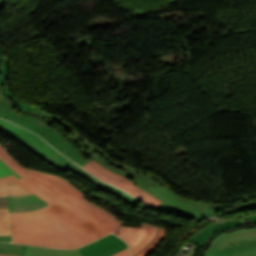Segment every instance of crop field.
<instances>
[{
    "instance_id": "obj_1",
    "label": "crop field",
    "mask_w": 256,
    "mask_h": 256,
    "mask_svg": "<svg viewBox=\"0 0 256 256\" xmlns=\"http://www.w3.org/2000/svg\"><path fill=\"white\" fill-rule=\"evenodd\" d=\"M3 85H0V116L6 118L20 126L28 128L35 133L42 136L47 142L57 148L61 153L66 155L68 158L74 160L79 165H84L90 160H95L101 165L105 166L109 170L118 173L122 176L129 178L136 186L145 190L146 192L157 197L149 188L156 186H163L161 184H151L153 181L148 176L141 175L140 177L132 172L127 170L119 169L111 164L108 161L103 160L102 154L100 152H93L91 149L86 147V143L82 142L81 139L77 137L76 134L70 133L64 135L61 132L54 130L56 123L46 121L41 116L36 114H20L16 111L14 107L18 105L12 102V99L7 98L2 89ZM160 199L159 197H157ZM161 200V199H160ZM168 206L165 202L159 204L155 209L166 212L169 214Z\"/></svg>"
},
{
    "instance_id": "obj_2",
    "label": "crop field",
    "mask_w": 256,
    "mask_h": 256,
    "mask_svg": "<svg viewBox=\"0 0 256 256\" xmlns=\"http://www.w3.org/2000/svg\"><path fill=\"white\" fill-rule=\"evenodd\" d=\"M0 125L4 127L2 128V132L22 142L24 145H26L29 149L34 151L40 157L44 158L50 164L58 167L64 172L67 173L69 171H73L81 175L82 177L92 182L94 185L98 186V189L119 197L124 202H126L132 209H134V205L140 203L138 200L132 198L127 193L99 181L98 179L90 175L88 172L80 168L78 165L67 159L65 156L59 154L37 135L2 119H0Z\"/></svg>"
},
{
    "instance_id": "obj_3",
    "label": "crop field",
    "mask_w": 256,
    "mask_h": 256,
    "mask_svg": "<svg viewBox=\"0 0 256 256\" xmlns=\"http://www.w3.org/2000/svg\"><path fill=\"white\" fill-rule=\"evenodd\" d=\"M23 178L52 196L92 215L102 222L111 232L122 224L110 212L84 199V195L77 188L60 177L29 170Z\"/></svg>"
},
{
    "instance_id": "obj_4",
    "label": "crop field",
    "mask_w": 256,
    "mask_h": 256,
    "mask_svg": "<svg viewBox=\"0 0 256 256\" xmlns=\"http://www.w3.org/2000/svg\"><path fill=\"white\" fill-rule=\"evenodd\" d=\"M10 214L13 242L57 248H73L30 212Z\"/></svg>"
},
{
    "instance_id": "obj_5",
    "label": "crop field",
    "mask_w": 256,
    "mask_h": 256,
    "mask_svg": "<svg viewBox=\"0 0 256 256\" xmlns=\"http://www.w3.org/2000/svg\"><path fill=\"white\" fill-rule=\"evenodd\" d=\"M8 178L21 185L22 187L26 188L30 192L36 194L38 197L48 203L50 205L49 207L55 209L63 216L68 218L70 221H72L74 224L82 228L95 240L110 233V231L102 223H100L92 216L55 199L54 197L38 189L31 183L23 179L19 180L13 176H9Z\"/></svg>"
},
{
    "instance_id": "obj_6",
    "label": "crop field",
    "mask_w": 256,
    "mask_h": 256,
    "mask_svg": "<svg viewBox=\"0 0 256 256\" xmlns=\"http://www.w3.org/2000/svg\"><path fill=\"white\" fill-rule=\"evenodd\" d=\"M31 213L42 220L74 248H78L90 241H94V239L86 232L49 207Z\"/></svg>"
},
{
    "instance_id": "obj_7",
    "label": "crop field",
    "mask_w": 256,
    "mask_h": 256,
    "mask_svg": "<svg viewBox=\"0 0 256 256\" xmlns=\"http://www.w3.org/2000/svg\"><path fill=\"white\" fill-rule=\"evenodd\" d=\"M82 167L94 174L95 176L99 177L100 179L122 188L126 192L134 195L137 199L153 208L157 206L160 202H162L157 198L153 197L152 195L141 190L140 188L136 187L130 180L109 171L108 169L93 160Z\"/></svg>"
},
{
    "instance_id": "obj_8",
    "label": "crop field",
    "mask_w": 256,
    "mask_h": 256,
    "mask_svg": "<svg viewBox=\"0 0 256 256\" xmlns=\"http://www.w3.org/2000/svg\"><path fill=\"white\" fill-rule=\"evenodd\" d=\"M150 189L163 201L172 206L169 209V212L176 213L185 218L201 220L203 218L211 217L212 215L221 210H215L214 208H204V210H202L199 208L201 204H198V206H194V202L188 201L186 199L182 201V199L178 198L166 187H157Z\"/></svg>"
},
{
    "instance_id": "obj_9",
    "label": "crop field",
    "mask_w": 256,
    "mask_h": 256,
    "mask_svg": "<svg viewBox=\"0 0 256 256\" xmlns=\"http://www.w3.org/2000/svg\"><path fill=\"white\" fill-rule=\"evenodd\" d=\"M79 251L83 256H130L124 241L113 234L81 247Z\"/></svg>"
},
{
    "instance_id": "obj_10",
    "label": "crop field",
    "mask_w": 256,
    "mask_h": 256,
    "mask_svg": "<svg viewBox=\"0 0 256 256\" xmlns=\"http://www.w3.org/2000/svg\"><path fill=\"white\" fill-rule=\"evenodd\" d=\"M158 229L157 226L142 223L141 228L122 226L114 233L128 242L132 254L135 255L152 242Z\"/></svg>"
},
{
    "instance_id": "obj_11",
    "label": "crop field",
    "mask_w": 256,
    "mask_h": 256,
    "mask_svg": "<svg viewBox=\"0 0 256 256\" xmlns=\"http://www.w3.org/2000/svg\"><path fill=\"white\" fill-rule=\"evenodd\" d=\"M32 112H34L36 114H39V115H42L44 117V119H46V120H50V121H53V122H56V123L64 124L68 131L77 133L79 138H81L83 141L87 142L85 139H83L84 137L83 138L81 137L80 132L77 129H75L71 124H69L68 122H66L65 120L60 118L59 116L48 113V112H45V111H32ZM32 112H29V113H32ZM87 143H88L87 147L91 148L93 151H101L102 154L104 155L103 158L110 161V163H112L113 165H116V166H118L120 168H123V169L130 170V171L135 172V173H138L139 175L141 173H143L144 175H149L155 181V182H152V183L160 182L161 184L165 185L161 177H159V176H157V175H155V174H153L149 171L143 170V169H139V168H136V167H133V166H129V165H126V164L115 162L110 157H108L100 148L90 144L89 142H87Z\"/></svg>"
},
{
    "instance_id": "obj_12",
    "label": "crop field",
    "mask_w": 256,
    "mask_h": 256,
    "mask_svg": "<svg viewBox=\"0 0 256 256\" xmlns=\"http://www.w3.org/2000/svg\"><path fill=\"white\" fill-rule=\"evenodd\" d=\"M204 256H256V239L240 241L224 249L212 241Z\"/></svg>"
},
{
    "instance_id": "obj_13",
    "label": "crop field",
    "mask_w": 256,
    "mask_h": 256,
    "mask_svg": "<svg viewBox=\"0 0 256 256\" xmlns=\"http://www.w3.org/2000/svg\"><path fill=\"white\" fill-rule=\"evenodd\" d=\"M10 203V212H27L34 211L46 206L45 202H43L37 196L30 194L24 196H11L9 197Z\"/></svg>"
},
{
    "instance_id": "obj_14",
    "label": "crop field",
    "mask_w": 256,
    "mask_h": 256,
    "mask_svg": "<svg viewBox=\"0 0 256 256\" xmlns=\"http://www.w3.org/2000/svg\"><path fill=\"white\" fill-rule=\"evenodd\" d=\"M240 225H243L242 220H233V221L218 223L213 226H210L207 229L201 230L194 237H192L189 241H192L193 243L204 247V244L210 238V236H212L217 231H221L223 229L234 228V227L240 226Z\"/></svg>"
},
{
    "instance_id": "obj_15",
    "label": "crop field",
    "mask_w": 256,
    "mask_h": 256,
    "mask_svg": "<svg viewBox=\"0 0 256 256\" xmlns=\"http://www.w3.org/2000/svg\"><path fill=\"white\" fill-rule=\"evenodd\" d=\"M5 5V0H0V9ZM9 69H8V60L6 59V56L2 51H0V84H5L3 89L4 93L7 97H10L13 99L15 103H18V109H20L23 112L32 111V110H42L38 109L36 107L24 105L18 101H16L8 92L7 90V77H8Z\"/></svg>"
},
{
    "instance_id": "obj_16",
    "label": "crop field",
    "mask_w": 256,
    "mask_h": 256,
    "mask_svg": "<svg viewBox=\"0 0 256 256\" xmlns=\"http://www.w3.org/2000/svg\"><path fill=\"white\" fill-rule=\"evenodd\" d=\"M24 256H82L78 250H59L28 246Z\"/></svg>"
},
{
    "instance_id": "obj_17",
    "label": "crop field",
    "mask_w": 256,
    "mask_h": 256,
    "mask_svg": "<svg viewBox=\"0 0 256 256\" xmlns=\"http://www.w3.org/2000/svg\"><path fill=\"white\" fill-rule=\"evenodd\" d=\"M30 192L6 177H0V196L23 195Z\"/></svg>"
},
{
    "instance_id": "obj_18",
    "label": "crop field",
    "mask_w": 256,
    "mask_h": 256,
    "mask_svg": "<svg viewBox=\"0 0 256 256\" xmlns=\"http://www.w3.org/2000/svg\"><path fill=\"white\" fill-rule=\"evenodd\" d=\"M0 158L20 176H24L29 170L16 162V160L0 144Z\"/></svg>"
},
{
    "instance_id": "obj_19",
    "label": "crop field",
    "mask_w": 256,
    "mask_h": 256,
    "mask_svg": "<svg viewBox=\"0 0 256 256\" xmlns=\"http://www.w3.org/2000/svg\"><path fill=\"white\" fill-rule=\"evenodd\" d=\"M252 238H256V231L236 234V235L227 237L223 240H220V241L216 242V244L218 246L224 248V247H227V246L231 245L232 243H234L236 241L245 240V239H252Z\"/></svg>"
},
{
    "instance_id": "obj_20",
    "label": "crop field",
    "mask_w": 256,
    "mask_h": 256,
    "mask_svg": "<svg viewBox=\"0 0 256 256\" xmlns=\"http://www.w3.org/2000/svg\"><path fill=\"white\" fill-rule=\"evenodd\" d=\"M27 246L15 245L0 243V253L15 254V255H24L25 249Z\"/></svg>"
},
{
    "instance_id": "obj_21",
    "label": "crop field",
    "mask_w": 256,
    "mask_h": 256,
    "mask_svg": "<svg viewBox=\"0 0 256 256\" xmlns=\"http://www.w3.org/2000/svg\"><path fill=\"white\" fill-rule=\"evenodd\" d=\"M166 230L163 227H160L159 232L153 242L147 246L144 250L138 253L136 256H148L156 245L165 237Z\"/></svg>"
},
{
    "instance_id": "obj_22",
    "label": "crop field",
    "mask_w": 256,
    "mask_h": 256,
    "mask_svg": "<svg viewBox=\"0 0 256 256\" xmlns=\"http://www.w3.org/2000/svg\"><path fill=\"white\" fill-rule=\"evenodd\" d=\"M0 235H10L8 209H0Z\"/></svg>"
},
{
    "instance_id": "obj_23",
    "label": "crop field",
    "mask_w": 256,
    "mask_h": 256,
    "mask_svg": "<svg viewBox=\"0 0 256 256\" xmlns=\"http://www.w3.org/2000/svg\"><path fill=\"white\" fill-rule=\"evenodd\" d=\"M253 209H256V200H248V201L242 203L237 208H235L231 211H228L224 215L234 213V212H238V211H242V210H253Z\"/></svg>"
},
{
    "instance_id": "obj_24",
    "label": "crop field",
    "mask_w": 256,
    "mask_h": 256,
    "mask_svg": "<svg viewBox=\"0 0 256 256\" xmlns=\"http://www.w3.org/2000/svg\"><path fill=\"white\" fill-rule=\"evenodd\" d=\"M13 175L19 179L20 177L18 174H16L12 169H10L1 159H0V176H9Z\"/></svg>"
},
{
    "instance_id": "obj_25",
    "label": "crop field",
    "mask_w": 256,
    "mask_h": 256,
    "mask_svg": "<svg viewBox=\"0 0 256 256\" xmlns=\"http://www.w3.org/2000/svg\"><path fill=\"white\" fill-rule=\"evenodd\" d=\"M177 196H179V195H177ZM179 197H181L182 199L183 198H185V197H182V196H179ZM188 199V198H187ZM184 200V199H183ZM189 200H191V199H189ZM192 201H195V200H192ZM198 203H202V206H201V208L203 209V207H215L216 209H220V208H225V207H227V206H229V205H227V204H216V203H204V202H199V201H195V204L194 205H197ZM224 210V209H223Z\"/></svg>"
},
{
    "instance_id": "obj_26",
    "label": "crop field",
    "mask_w": 256,
    "mask_h": 256,
    "mask_svg": "<svg viewBox=\"0 0 256 256\" xmlns=\"http://www.w3.org/2000/svg\"><path fill=\"white\" fill-rule=\"evenodd\" d=\"M251 230H256V228H251V229H246V230H244V229L235 230V231H232L231 233H222V234L217 235V237L213 241L216 242V241L223 239L227 236H230V235H233L236 233H240V232L251 231Z\"/></svg>"
},
{
    "instance_id": "obj_27",
    "label": "crop field",
    "mask_w": 256,
    "mask_h": 256,
    "mask_svg": "<svg viewBox=\"0 0 256 256\" xmlns=\"http://www.w3.org/2000/svg\"><path fill=\"white\" fill-rule=\"evenodd\" d=\"M0 208H8L7 197H0Z\"/></svg>"
},
{
    "instance_id": "obj_28",
    "label": "crop field",
    "mask_w": 256,
    "mask_h": 256,
    "mask_svg": "<svg viewBox=\"0 0 256 256\" xmlns=\"http://www.w3.org/2000/svg\"><path fill=\"white\" fill-rule=\"evenodd\" d=\"M0 241L11 242L10 236H0Z\"/></svg>"
},
{
    "instance_id": "obj_29",
    "label": "crop field",
    "mask_w": 256,
    "mask_h": 256,
    "mask_svg": "<svg viewBox=\"0 0 256 256\" xmlns=\"http://www.w3.org/2000/svg\"><path fill=\"white\" fill-rule=\"evenodd\" d=\"M0 256H11V255H3V254H0Z\"/></svg>"
}]
</instances>
